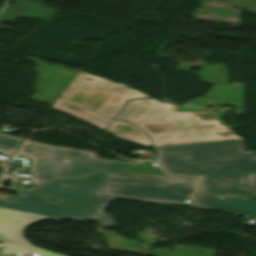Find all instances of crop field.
Returning <instances> with one entry per match:
<instances>
[{"mask_svg":"<svg viewBox=\"0 0 256 256\" xmlns=\"http://www.w3.org/2000/svg\"><path fill=\"white\" fill-rule=\"evenodd\" d=\"M19 155L31 158V183L39 184L53 180L90 174L96 171H116L148 161H107L95 157L94 152L50 146L28 141L23 144ZM37 176V178H35Z\"/></svg>","mask_w":256,"mask_h":256,"instance_id":"crop-field-4","label":"crop field"},{"mask_svg":"<svg viewBox=\"0 0 256 256\" xmlns=\"http://www.w3.org/2000/svg\"><path fill=\"white\" fill-rule=\"evenodd\" d=\"M45 219L56 221L62 220L61 218L0 208V242L3 243L1 254L12 253L16 255L33 254L35 256H63L36 248L23 238V233L26 227Z\"/></svg>","mask_w":256,"mask_h":256,"instance_id":"crop-field-8","label":"crop field"},{"mask_svg":"<svg viewBox=\"0 0 256 256\" xmlns=\"http://www.w3.org/2000/svg\"><path fill=\"white\" fill-rule=\"evenodd\" d=\"M191 204L256 217V190L223 180L203 178Z\"/></svg>","mask_w":256,"mask_h":256,"instance_id":"crop-field-7","label":"crop field"},{"mask_svg":"<svg viewBox=\"0 0 256 256\" xmlns=\"http://www.w3.org/2000/svg\"><path fill=\"white\" fill-rule=\"evenodd\" d=\"M86 77L94 80H85ZM125 85L78 72L61 97L113 118L131 98H151Z\"/></svg>","mask_w":256,"mask_h":256,"instance_id":"crop-field-6","label":"crop field"},{"mask_svg":"<svg viewBox=\"0 0 256 256\" xmlns=\"http://www.w3.org/2000/svg\"><path fill=\"white\" fill-rule=\"evenodd\" d=\"M178 108L158 100H136L126 106L118 119L146 131L154 147L242 139L219 124L215 110L178 113Z\"/></svg>","mask_w":256,"mask_h":256,"instance_id":"crop-field-1","label":"crop field"},{"mask_svg":"<svg viewBox=\"0 0 256 256\" xmlns=\"http://www.w3.org/2000/svg\"><path fill=\"white\" fill-rule=\"evenodd\" d=\"M151 164H153V162L146 164V165H142V166H138V167H134V168H130V169H126L123 171L126 172H140V173H153V174H164L167 175L166 173L162 172L160 168L158 167H153Z\"/></svg>","mask_w":256,"mask_h":256,"instance_id":"crop-field-14","label":"crop field"},{"mask_svg":"<svg viewBox=\"0 0 256 256\" xmlns=\"http://www.w3.org/2000/svg\"><path fill=\"white\" fill-rule=\"evenodd\" d=\"M51 108L66 112L73 116H76L80 119L88 121L94 125H96L100 129H104L109 122L112 120L110 118H106L96 112H93L85 107L77 105L73 102L65 100L59 97L56 102L51 106Z\"/></svg>","mask_w":256,"mask_h":256,"instance_id":"crop-field-10","label":"crop field"},{"mask_svg":"<svg viewBox=\"0 0 256 256\" xmlns=\"http://www.w3.org/2000/svg\"><path fill=\"white\" fill-rule=\"evenodd\" d=\"M246 187L256 189V173L247 174L246 177Z\"/></svg>","mask_w":256,"mask_h":256,"instance_id":"crop-field-15","label":"crop field"},{"mask_svg":"<svg viewBox=\"0 0 256 256\" xmlns=\"http://www.w3.org/2000/svg\"><path fill=\"white\" fill-rule=\"evenodd\" d=\"M199 178L153 174L107 173L103 195L138 201L184 204Z\"/></svg>","mask_w":256,"mask_h":256,"instance_id":"crop-field-5","label":"crop field"},{"mask_svg":"<svg viewBox=\"0 0 256 256\" xmlns=\"http://www.w3.org/2000/svg\"><path fill=\"white\" fill-rule=\"evenodd\" d=\"M26 58L39 65L34 67V71L38 73L37 92L31 100L51 106L78 71L52 66L37 58Z\"/></svg>","mask_w":256,"mask_h":256,"instance_id":"crop-field-9","label":"crop field"},{"mask_svg":"<svg viewBox=\"0 0 256 256\" xmlns=\"http://www.w3.org/2000/svg\"><path fill=\"white\" fill-rule=\"evenodd\" d=\"M106 173H95L74 179L58 181L29 188L16 200H0V207L82 221H98L103 227H115L104 206L114 197L102 195ZM55 199V205L43 203ZM102 215V217H99Z\"/></svg>","mask_w":256,"mask_h":256,"instance_id":"crop-field-2","label":"crop field"},{"mask_svg":"<svg viewBox=\"0 0 256 256\" xmlns=\"http://www.w3.org/2000/svg\"><path fill=\"white\" fill-rule=\"evenodd\" d=\"M7 179L11 182L12 184L11 187L10 188L1 187ZM0 188L19 192L22 189V186L17 177V173L16 172L10 173V172L3 171L2 174L0 175ZM10 198H14V196L0 193V199L8 200Z\"/></svg>","mask_w":256,"mask_h":256,"instance_id":"crop-field-13","label":"crop field"},{"mask_svg":"<svg viewBox=\"0 0 256 256\" xmlns=\"http://www.w3.org/2000/svg\"><path fill=\"white\" fill-rule=\"evenodd\" d=\"M156 161L170 174L218 178L245 186L246 173L256 172V151L243 140L154 148Z\"/></svg>","mask_w":256,"mask_h":256,"instance_id":"crop-field-3","label":"crop field"},{"mask_svg":"<svg viewBox=\"0 0 256 256\" xmlns=\"http://www.w3.org/2000/svg\"><path fill=\"white\" fill-rule=\"evenodd\" d=\"M23 141L24 139L0 133V153L7 156L13 154Z\"/></svg>","mask_w":256,"mask_h":256,"instance_id":"crop-field-12","label":"crop field"},{"mask_svg":"<svg viewBox=\"0 0 256 256\" xmlns=\"http://www.w3.org/2000/svg\"><path fill=\"white\" fill-rule=\"evenodd\" d=\"M114 133L117 137L124 138L145 146H151L149 137H147L140 129L131 126L125 122L115 120L107 129ZM126 135V137H123Z\"/></svg>","mask_w":256,"mask_h":256,"instance_id":"crop-field-11","label":"crop field"}]
</instances>
